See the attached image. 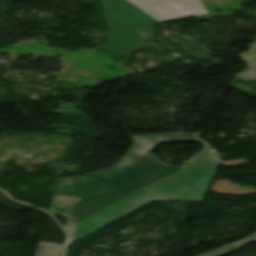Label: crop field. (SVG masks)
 Segmentation results:
<instances>
[{"instance_id":"8a807250","label":"crop field","mask_w":256,"mask_h":256,"mask_svg":"<svg viewBox=\"0 0 256 256\" xmlns=\"http://www.w3.org/2000/svg\"><path fill=\"white\" fill-rule=\"evenodd\" d=\"M134 147L117 164L85 176L59 179L49 212L76 222L187 167L209 149L198 134L133 137ZM198 140L205 148L182 168L161 164L150 151L162 142Z\"/></svg>"},{"instance_id":"ac0d7876","label":"crop field","mask_w":256,"mask_h":256,"mask_svg":"<svg viewBox=\"0 0 256 256\" xmlns=\"http://www.w3.org/2000/svg\"><path fill=\"white\" fill-rule=\"evenodd\" d=\"M220 159L221 157L212 148L186 170L168 177L83 221L78 237L151 199L202 201L205 191L219 165Z\"/></svg>"},{"instance_id":"34b2d1b8","label":"crop field","mask_w":256,"mask_h":256,"mask_svg":"<svg viewBox=\"0 0 256 256\" xmlns=\"http://www.w3.org/2000/svg\"><path fill=\"white\" fill-rule=\"evenodd\" d=\"M111 29L104 50L114 57H125L128 50L149 39L156 21L128 0H102Z\"/></svg>"},{"instance_id":"412701ff","label":"crop field","mask_w":256,"mask_h":256,"mask_svg":"<svg viewBox=\"0 0 256 256\" xmlns=\"http://www.w3.org/2000/svg\"><path fill=\"white\" fill-rule=\"evenodd\" d=\"M157 21H169L205 14L199 0H130ZM129 1V2H130ZM132 3V4H133Z\"/></svg>"},{"instance_id":"f4fd0767","label":"crop field","mask_w":256,"mask_h":256,"mask_svg":"<svg viewBox=\"0 0 256 256\" xmlns=\"http://www.w3.org/2000/svg\"><path fill=\"white\" fill-rule=\"evenodd\" d=\"M255 241H256V233L253 234L252 236H250L247 239H244V240H241V241H238V242H235V243H231L227 246H224V247L206 252V253L198 255V256H222V255L234 252L238 249H241V247L243 245H246V244H249V243H252V242H255Z\"/></svg>"},{"instance_id":"dd49c442","label":"crop field","mask_w":256,"mask_h":256,"mask_svg":"<svg viewBox=\"0 0 256 256\" xmlns=\"http://www.w3.org/2000/svg\"><path fill=\"white\" fill-rule=\"evenodd\" d=\"M62 245L40 242L36 256H60Z\"/></svg>"},{"instance_id":"e52e79f7","label":"crop field","mask_w":256,"mask_h":256,"mask_svg":"<svg viewBox=\"0 0 256 256\" xmlns=\"http://www.w3.org/2000/svg\"><path fill=\"white\" fill-rule=\"evenodd\" d=\"M78 226H79L78 223L73 222V221L67 219L65 229H66L67 232L69 233V241H68V244L71 243V241L75 238V235H76L77 230H78Z\"/></svg>"},{"instance_id":"d8731c3e","label":"crop field","mask_w":256,"mask_h":256,"mask_svg":"<svg viewBox=\"0 0 256 256\" xmlns=\"http://www.w3.org/2000/svg\"><path fill=\"white\" fill-rule=\"evenodd\" d=\"M244 81L253 80L256 78V66L238 74Z\"/></svg>"},{"instance_id":"5a996713","label":"crop field","mask_w":256,"mask_h":256,"mask_svg":"<svg viewBox=\"0 0 256 256\" xmlns=\"http://www.w3.org/2000/svg\"><path fill=\"white\" fill-rule=\"evenodd\" d=\"M255 53H256V43L253 44V50L252 51L242 55L243 58L245 59V61L247 62V64L249 65V67L256 64V55H255ZM252 54L254 56L250 58L249 56L252 55Z\"/></svg>"}]
</instances>
